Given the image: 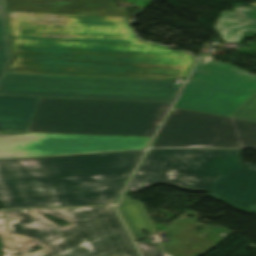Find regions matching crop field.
<instances>
[{
	"instance_id": "crop-field-9",
	"label": "crop field",
	"mask_w": 256,
	"mask_h": 256,
	"mask_svg": "<svg viewBox=\"0 0 256 256\" xmlns=\"http://www.w3.org/2000/svg\"><path fill=\"white\" fill-rule=\"evenodd\" d=\"M225 120L171 108L151 147L210 148Z\"/></svg>"
},
{
	"instance_id": "crop-field-7",
	"label": "crop field",
	"mask_w": 256,
	"mask_h": 256,
	"mask_svg": "<svg viewBox=\"0 0 256 256\" xmlns=\"http://www.w3.org/2000/svg\"><path fill=\"white\" fill-rule=\"evenodd\" d=\"M201 55L174 107L228 116L256 91V75Z\"/></svg>"
},
{
	"instance_id": "crop-field-12",
	"label": "crop field",
	"mask_w": 256,
	"mask_h": 256,
	"mask_svg": "<svg viewBox=\"0 0 256 256\" xmlns=\"http://www.w3.org/2000/svg\"><path fill=\"white\" fill-rule=\"evenodd\" d=\"M21 219L10 210H0V243L2 256H42L52 252L40 243L12 232L10 223ZM34 246L43 247L36 253H28Z\"/></svg>"
},
{
	"instance_id": "crop-field-17",
	"label": "crop field",
	"mask_w": 256,
	"mask_h": 256,
	"mask_svg": "<svg viewBox=\"0 0 256 256\" xmlns=\"http://www.w3.org/2000/svg\"><path fill=\"white\" fill-rule=\"evenodd\" d=\"M229 116L256 121V92Z\"/></svg>"
},
{
	"instance_id": "crop-field-18",
	"label": "crop field",
	"mask_w": 256,
	"mask_h": 256,
	"mask_svg": "<svg viewBox=\"0 0 256 256\" xmlns=\"http://www.w3.org/2000/svg\"><path fill=\"white\" fill-rule=\"evenodd\" d=\"M143 256H151L160 252L157 244L147 245L145 240L136 244Z\"/></svg>"
},
{
	"instance_id": "crop-field-14",
	"label": "crop field",
	"mask_w": 256,
	"mask_h": 256,
	"mask_svg": "<svg viewBox=\"0 0 256 256\" xmlns=\"http://www.w3.org/2000/svg\"><path fill=\"white\" fill-rule=\"evenodd\" d=\"M214 29L226 42H238L243 30L256 31V10L234 7V12H221Z\"/></svg>"
},
{
	"instance_id": "crop-field-19",
	"label": "crop field",
	"mask_w": 256,
	"mask_h": 256,
	"mask_svg": "<svg viewBox=\"0 0 256 256\" xmlns=\"http://www.w3.org/2000/svg\"><path fill=\"white\" fill-rule=\"evenodd\" d=\"M24 211H25L27 214H29L30 216H35V217H37V218H39V219H41V220H44V221H47V222L53 224V225H55V224L52 223L50 220H48V219H46V218H43V217H40V216H37V213L41 211V212H43V213H45V214H49V215L55 216V217H57V218L63 219V220H65V221H68V222L70 223V225L67 226V227L55 225V226L59 227V228L62 229V230H64V229H66V228H68V227H70V226L73 225L71 221H69V220H67V219H64V218H61V217H59V216H56V215H54V214H52V213L45 212V211H43V210H41V209H31V210H24Z\"/></svg>"
},
{
	"instance_id": "crop-field-11",
	"label": "crop field",
	"mask_w": 256,
	"mask_h": 256,
	"mask_svg": "<svg viewBox=\"0 0 256 256\" xmlns=\"http://www.w3.org/2000/svg\"><path fill=\"white\" fill-rule=\"evenodd\" d=\"M38 99L39 98L0 96L1 130L25 132L33 116Z\"/></svg>"
},
{
	"instance_id": "crop-field-16",
	"label": "crop field",
	"mask_w": 256,
	"mask_h": 256,
	"mask_svg": "<svg viewBox=\"0 0 256 256\" xmlns=\"http://www.w3.org/2000/svg\"><path fill=\"white\" fill-rule=\"evenodd\" d=\"M8 57L9 51L6 32L4 2L3 0H0V75L4 69Z\"/></svg>"
},
{
	"instance_id": "crop-field-4",
	"label": "crop field",
	"mask_w": 256,
	"mask_h": 256,
	"mask_svg": "<svg viewBox=\"0 0 256 256\" xmlns=\"http://www.w3.org/2000/svg\"><path fill=\"white\" fill-rule=\"evenodd\" d=\"M169 104L40 98L27 131L153 137Z\"/></svg>"
},
{
	"instance_id": "crop-field-1",
	"label": "crop field",
	"mask_w": 256,
	"mask_h": 256,
	"mask_svg": "<svg viewBox=\"0 0 256 256\" xmlns=\"http://www.w3.org/2000/svg\"><path fill=\"white\" fill-rule=\"evenodd\" d=\"M49 1V4H44ZM11 59L4 72L175 80L185 51L138 40L115 0H6Z\"/></svg>"
},
{
	"instance_id": "crop-field-5",
	"label": "crop field",
	"mask_w": 256,
	"mask_h": 256,
	"mask_svg": "<svg viewBox=\"0 0 256 256\" xmlns=\"http://www.w3.org/2000/svg\"><path fill=\"white\" fill-rule=\"evenodd\" d=\"M113 207L68 208L65 213L43 209L72 220L74 226L64 231L22 210H12L23 219L11 225L54 251L44 256H139Z\"/></svg>"
},
{
	"instance_id": "crop-field-20",
	"label": "crop field",
	"mask_w": 256,
	"mask_h": 256,
	"mask_svg": "<svg viewBox=\"0 0 256 256\" xmlns=\"http://www.w3.org/2000/svg\"><path fill=\"white\" fill-rule=\"evenodd\" d=\"M67 208H59V209H54V210H58V211H61V212H65Z\"/></svg>"
},
{
	"instance_id": "crop-field-10",
	"label": "crop field",
	"mask_w": 256,
	"mask_h": 256,
	"mask_svg": "<svg viewBox=\"0 0 256 256\" xmlns=\"http://www.w3.org/2000/svg\"><path fill=\"white\" fill-rule=\"evenodd\" d=\"M198 225L200 224L182 219L165 230L174 239L173 242L163 243L164 248L168 249L167 253L174 256H198L216 247L218 244L201 237L204 234L192 231Z\"/></svg>"
},
{
	"instance_id": "crop-field-8",
	"label": "crop field",
	"mask_w": 256,
	"mask_h": 256,
	"mask_svg": "<svg viewBox=\"0 0 256 256\" xmlns=\"http://www.w3.org/2000/svg\"><path fill=\"white\" fill-rule=\"evenodd\" d=\"M150 137L0 132V159L147 147Z\"/></svg>"
},
{
	"instance_id": "crop-field-2",
	"label": "crop field",
	"mask_w": 256,
	"mask_h": 256,
	"mask_svg": "<svg viewBox=\"0 0 256 256\" xmlns=\"http://www.w3.org/2000/svg\"><path fill=\"white\" fill-rule=\"evenodd\" d=\"M143 151L0 161L4 208L114 204Z\"/></svg>"
},
{
	"instance_id": "crop-field-6",
	"label": "crop field",
	"mask_w": 256,
	"mask_h": 256,
	"mask_svg": "<svg viewBox=\"0 0 256 256\" xmlns=\"http://www.w3.org/2000/svg\"><path fill=\"white\" fill-rule=\"evenodd\" d=\"M181 85L175 81L4 73L0 94L172 102Z\"/></svg>"
},
{
	"instance_id": "crop-field-22",
	"label": "crop field",
	"mask_w": 256,
	"mask_h": 256,
	"mask_svg": "<svg viewBox=\"0 0 256 256\" xmlns=\"http://www.w3.org/2000/svg\"><path fill=\"white\" fill-rule=\"evenodd\" d=\"M252 6L256 7V3L255 4H251Z\"/></svg>"
},
{
	"instance_id": "crop-field-3",
	"label": "crop field",
	"mask_w": 256,
	"mask_h": 256,
	"mask_svg": "<svg viewBox=\"0 0 256 256\" xmlns=\"http://www.w3.org/2000/svg\"><path fill=\"white\" fill-rule=\"evenodd\" d=\"M168 183L256 213V165L241 162V150L154 149L148 152L127 191Z\"/></svg>"
},
{
	"instance_id": "crop-field-13",
	"label": "crop field",
	"mask_w": 256,
	"mask_h": 256,
	"mask_svg": "<svg viewBox=\"0 0 256 256\" xmlns=\"http://www.w3.org/2000/svg\"><path fill=\"white\" fill-rule=\"evenodd\" d=\"M211 148L256 149V122L227 118Z\"/></svg>"
},
{
	"instance_id": "crop-field-21",
	"label": "crop field",
	"mask_w": 256,
	"mask_h": 256,
	"mask_svg": "<svg viewBox=\"0 0 256 256\" xmlns=\"http://www.w3.org/2000/svg\"><path fill=\"white\" fill-rule=\"evenodd\" d=\"M59 206L57 203H53L51 207Z\"/></svg>"
},
{
	"instance_id": "crop-field-15",
	"label": "crop field",
	"mask_w": 256,
	"mask_h": 256,
	"mask_svg": "<svg viewBox=\"0 0 256 256\" xmlns=\"http://www.w3.org/2000/svg\"><path fill=\"white\" fill-rule=\"evenodd\" d=\"M117 210L135 241L144 238L141 230L148 233L156 232L140 202L123 196Z\"/></svg>"
}]
</instances>
